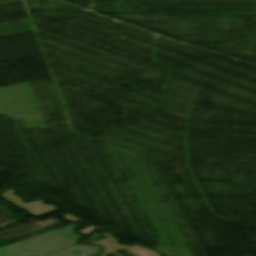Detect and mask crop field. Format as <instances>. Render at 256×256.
<instances>
[{
	"label": "crop field",
	"instance_id": "obj_1",
	"mask_svg": "<svg viewBox=\"0 0 256 256\" xmlns=\"http://www.w3.org/2000/svg\"><path fill=\"white\" fill-rule=\"evenodd\" d=\"M82 227L81 225L73 224L66 228L58 229L38 237L17 243L16 245L38 255V256H76L72 252L78 250L84 253V256H93L98 253L100 247L90 245H75L78 239L82 238L72 231ZM100 233H96L88 239H99ZM100 253V252H99Z\"/></svg>",
	"mask_w": 256,
	"mask_h": 256
},
{
	"label": "crop field",
	"instance_id": "obj_3",
	"mask_svg": "<svg viewBox=\"0 0 256 256\" xmlns=\"http://www.w3.org/2000/svg\"><path fill=\"white\" fill-rule=\"evenodd\" d=\"M90 243H95L99 245H104L106 251L102 254V256H109L110 254H115L117 256H122L117 253L118 249H126L127 247H122L118 244H116V239L114 237L103 239L97 242H90Z\"/></svg>",
	"mask_w": 256,
	"mask_h": 256
},
{
	"label": "crop field",
	"instance_id": "obj_2",
	"mask_svg": "<svg viewBox=\"0 0 256 256\" xmlns=\"http://www.w3.org/2000/svg\"><path fill=\"white\" fill-rule=\"evenodd\" d=\"M3 196L8 200H11L16 204L29 209L36 216H42L56 209L55 207L40 204L41 201L26 204L16 196L13 190L8 191L7 193L3 194Z\"/></svg>",
	"mask_w": 256,
	"mask_h": 256
},
{
	"label": "crop field",
	"instance_id": "obj_4",
	"mask_svg": "<svg viewBox=\"0 0 256 256\" xmlns=\"http://www.w3.org/2000/svg\"><path fill=\"white\" fill-rule=\"evenodd\" d=\"M0 256H35V255L13 244L11 246L0 248Z\"/></svg>",
	"mask_w": 256,
	"mask_h": 256
},
{
	"label": "crop field",
	"instance_id": "obj_5",
	"mask_svg": "<svg viewBox=\"0 0 256 256\" xmlns=\"http://www.w3.org/2000/svg\"><path fill=\"white\" fill-rule=\"evenodd\" d=\"M129 253L134 256H160L159 254L152 252L150 250L144 249L142 247L136 246L130 249H126Z\"/></svg>",
	"mask_w": 256,
	"mask_h": 256
}]
</instances>
